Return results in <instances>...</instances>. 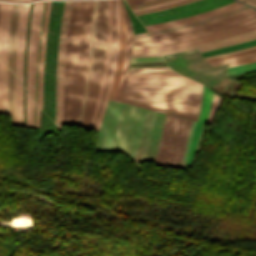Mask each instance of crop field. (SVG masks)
I'll use <instances>...</instances> for the list:
<instances>
[{
    "label": "crop field",
    "instance_id": "1",
    "mask_svg": "<svg viewBox=\"0 0 256 256\" xmlns=\"http://www.w3.org/2000/svg\"><path fill=\"white\" fill-rule=\"evenodd\" d=\"M165 114L109 100L95 149L122 151L134 162H155Z\"/></svg>",
    "mask_w": 256,
    "mask_h": 256
},
{
    "label": "crop field",
    "instance_id": "2",
    "mask_svg": "<svg viewBox=\"0 0 256 256\" xmlns=\"http://www.w3.org/2000/svg\"><path fill=\"white\" fill-rule=\"evenodd\" d=\"M201 94L202 86H126L123 102L196 121Z\"/></svg>",
    "mask_w": 256,
    "mask_h": 256
},
{
    "label": "crop field",
    "instance_id": "3",
    "mask_svg": "<svg viewBox=\"0 0 256 256\" xmlns=\"http://www.w3.org/2000/svg\"><path fill=\"white\" fill-rule=\"evenodd\" d=\"M93 0L78 1L72 45L71 75L85 77L88 61ZM71 76L66 125L76 126L83 94L84 78Z\"/></svg>",
    "mask_w": 256,
    "mask_h": 256
},
{
    "label": "crop field",
    "instance_id": "4",
    "mask_svg": "<svg viewBox=\"0 0 256 256\" xmlns=\"http://www.w3.org/2000/svg\"><path fill=\"white\" fill-rule=\"evenodd\" d=\"M108 0H98L95 28V44L90 77L101 78L107 39ZM101 79L90 78L81 127H89Z\"/></svg>",
    "mask_w": 256,
    "mask_h": 256
},
{
    "label": "crop field",
    "instance_id": "5",
    "mask_svg": "<svg viewBox=\"0 0 256 256\" xmlns=\"http://www.w3.org/2000/svg\"><path fill=\"white\" fill-rule=\"evenodd\" d=\"M235 0H198L178 7L138 15L144 26L198 14Z\"/></svg>",
    "mask_w": 256,
    "mask_h": 256
},
{
    "label": "crop field",
    "instance_id": "6",
    "mask_svg": "<svg viewBox=\"0 0 256 256\" xmlns=\"http://www.w3.org/2000/svg\"><path fill=\"white\" fill-rule=\"evenodd\" d=\"M71 1H65L62 15L59 44H58V58H57V75H56V116L55 123L61 130L62 109H63V71H64V57H65V38L68 26L69 11Z\"/></svg>",
    "mask_w": 256,
    "mask_h": 256
},
{
    "label": "crop field",
    "instance_id": "7",
    "mask_svg": "<svg viewBox=\"0 0 256 256\" xmlns=\"http://www.w3.org/2000/svg\"><path fill=\"white\" fill-rule=\"evenodd\" d=\"M43 1L34 2L31 24L30 37L28 43L27 69H26V89L34 98V80L36 69L37 43L39 35V24L41 18Z\"/></svg>",
    "mask_w": 256,
    "mask_h": 256
},
{
    "label": "crop field",
    "instance_id": "8",
    "mask_svg": "<svg viewBox=\"0 0 256 256\" xmlns=\"http://www.w3.org/2000/svg\"><path fill=\"white\" fill-rule=\"evenodd\" d=\"M254 29H256V20H254L250 23H247V24L232 27V28H229V29H226L223 31L213 33V34L196 37V38H191V39H186V40H182V41H178V42H174V43H170V44L159 45V46H157V48H158L159 52H162V51L179 48V47H183V46L199 44V43H204V42H208V41H212V40H216V39H221V38L229 37V36L236 35L239 33L251 31Z\"/></svg>",
    "mask_w": 256,
    "mask_h": 256
},
{
    "label": "crop field",
    "instance_id": "9",
    "mask_svg": "<svg viewBox=\"0 0 256 256\" xmlns=\"http://www.w3.org/2000/svg\"><path fill=\"white\" fill-rule=\"evenodd\" d=\"M29 6L30 4H20L19 15H18L16 54H15V74L19 77L21 82H22L26 25H27Z\"/></svg>",
    "mask_w": 256,
    "mask_h": 256
},
{
    "label": "crop field",
    "instance_id": "10",
    "mask_svg": "<svg viewBox=\"0 0 256 256\" xmlns=\"http://www.w3.org/2000/svg\"><path fill=\"white\" fill-rule=\"evenodd\" d=\"M254 13H256V10L248 8V9L241 11L237 14L231 15L229 17H226V18H223V19H220V20L208 23V24L185 28V29H181V30H177V31H172V32L152 36L151 38L153 41H156V40L167 39V38H171V37H175V36H179V35H183V34H187V33H191V32L205 30V29L213 28V27H216L219 25H223V24H226L229 22H233V21L242 19V18L250 16Z\"/></svg>",
    "mask_w": 256,
    "mask_h": 256
},
{
    "label": "crop field",
    "instance_id": "11",
    "mask_svg": "<svg viewBox=\"0 0 256 256\" xmlns=\"http://www.w3.org/2000/svg\"><path fill=\"white\" fill-rule=\"evenodd\" d=\"M76 8H77V1H72L69 26H68L67 45H66L65 72H64V110H63L62 124H65V121H66L67 99H68L69 80H70L71 43H72L73 28H74V22H75V16H76Z\"/></svg>",
    "mask_w": 256,
    "mask_h": 256
},
{
    "label": "crop field",
    "instance_id": "12",
    "mask_svg": "<svg viewBox=\"0 0 256 256\" xmlns=\"http://www.w3.org/2000/svg\"><path fill=\"white\" fill-rule=\"evenodd\" d=\"M212 95H213V92H211L206 87H204L202 108H201L199 120H198V122H196V125H195V130H194V133H193L191 146H190V150H189V154H188L187 163H186L185 168H187V167L191 168L192 167V163H193V159H194V155H195L199 135H200V132H201L202 124H203V122L206 123V121H207Z\"/></svg>",
    "mask_w": 256,
    "mask_h": 256
},
{
    "label": "crop field",
    "instance_id": "13",
    "mask_svg": "<svg viewBox=\"0 0 256 256\" xmlns=\"http://www.w3.org/2000/svg\"><path fill=\"white\" fill-rule=\"evenodd\" d=\"M192 122L191 120L179 118L168 166L178 167Z\"/></svg>",
    "mask_w": 256,
    "mask_h": 256
},
{
    "label": "crop field",
    "instance_id": "14",
    "mask_svg": "<svg viewBox=\"0 0 256 256\" xmlns=\"http://www.w3.org/2000/svg\"><path fill=\"white\" fill-rule=\"evenodd\" d=\"M126 85H201L182 75L128 78Z\"/></svg>",
    "mask_w": 256,
    "mask_h": 256
},
{
    "label": "crop field",
    "instance_id": "15",
    "mask_svg": "<svg viewBox=\"0 0 256 256\" xmlns=\"http://www.w3.org/2000/svg\"><path fill=\"white\" fill-rule=\"evenodd\" d=\"M255 38H256V30L247 32V33H243L240 35H236L233 37L209 42V43H204V44H200V45H196V46H192V47L180 48V49L163 52V53H161V55L184 51V50H189V49H194V48H197L200 52H203V51H207V50H211V49H215V48H219V47H224V46L248 41V40L255 39Z\"/></svg>",
    "mask_w": 256,
    "mask_h": 256
},
{
    "label": "crop field",
    "instance_id": "16",
    "mask_svg": "<svg viewBox=\"0 0 256 256\" xmlns=\"http://www.w3.org/2000/svg\"><path fill=\"white\" fill-rule=\"evenodd\" d=\"M177 120H178L177 117H173L169 115L167 116L156 164L164 165V166H166L167 164Z\"/></svg>",
    "mask_w": 256,
    "mask_h": 256
},
{
    "label": "crop field",
    "instance_id": "17",
    "mask_svg": "<svg viewBox=\"0 0 256 256\" xmlns=\"http://www.w3.org/2000/svg\"><path fill=\"white\" fill-rule=\"evenodd\" d=\"M11 8L12 3H0V56L6 64Z\"/></svg>",
    "mask_w": 256,
    "mask_h": 256
},
{
    "label": "crop field",
    "instance_id": "18",
    "mask_svg": "<svg viewBox=\"0 0 256 256\" xmlns=\"http://www.w3.org/2000/svg\"><path fill=\"white\" fill-rule=\"evenodd\" d=\"M122 6H123V11L125 15V20H126V31H127V38H126V47H125V58H124V65H123V71H122V76L116 96V100L121 101L122 100V95L124 91V87L126 84V78H127V70L129 68V60L131 56V46H132V40H133V30L131 26L130 19L128 17V14L126 12V9L124 7L123 0H121Z\"/></svg>",
    "mask_w": 256,
    "mask_h": 256
},
{
    "label": "crop field",
    "instance_id": "19",
    "mask_svg": "<svg viewBox=\"0 0 256 256\" xmlns=\"http://www.w3.org/2000/svg\"><path fill=\"white\" fill-rule=\"evenodd\" d=\"M241 5H243V4L235 1L231 4L226 5V6H223V7L211 10V11H207V12H204V13H201V14H198V15H194V16H191V17L183 18V19L173 20V21H169V22H164V23H160V24H156V25H151V26H147L145 28H146L147 31H150V30H154V29L179 25V24L195 21V20H198V19H202V18H205V17H209V16H212V15H216V14H219L223 11H226V10H229V9L241 6Z\"/></svg>",
    "mask_w": 256,
    "mask_h": 256
},
{
    "label": "crop field",
    "instance_id": "20",
    "mask_svg": "<svg viewBox=\"0 0 256 256\" xmlns=\"http://www.w3.org/2000/svg\"><path fill=\"white\" fill-rule=\"evenodd\" d=\"M119 6H120L121 36H120V48H119L117 65H116L115 77H114V82H113V86H112V90H111V94H110V98H109L112 100L115 99L117 87H118L120 76H121L123 57H124L125 38H126L125 21H124V16H123L120 0H119Z\"/></svg>",
    "mask_w": 256,
    "mask_h": 256
},
{
    "label": "crop field",
    "instance_id": "21",
    "mask_svg": "<svg viewBox=\"0 0 256 256\" xmlns=\"http://www.w3.org/2000/svg\"><path fill=\"white\" fill-rule=\"evenodd\" d=\"M114 48H115V0H112V42H111V50H110V58H109V66H108V73H107V79H106V83H105V87L103 90V94H102V98L100 101V105H99V109L93 124V130L95 128V124L97 122V119L99 117V114L101 112V107H102V103L104 101L105 98V94L107 91V87H108V83H109V77H110V71H111V65H112V61H113V56H114Z\"/></svg>",
    "mask_w": 256,
    "mask_h": 256
},
{
    "label": "crop field",
    "instance_id": "22",
    "mask_svg": "<svg viewBox=\"0 0 256 256\" xmlns=\"http://www.w3.org/2000/svg\"><path fill=\"white\" fill-rule=\"evenodd\" d=\"M19 4H13L10 35H9V53H8V67L14 72V47H15V29L18 15Z\"/></svg>",
    "mask_w": 256,
    "mask_h": 256
},
{
    "label": "crop field",
    "instance_id": "23",
    "mask_svg": "<svg viewBox=\"0 0 256 256\" xmlns=\"http://www.w3.org/2000/svg\"><path fill=\"white\" fill-rule=\"evenodd\" d=\"M110 42H111V0H109V8H108V40H107V48H106L105 66H104V72H103V76H102V80H101V84H100L99 94H98V98H97L93 118H92V121H91V124H90V129L92 128V124H93V121H94V118H95V115H96V112H97V109H98L101 93H102L104 83H105V79H106L108 58H109V50H110Z\"/></svg>",
    "mask_w": 256,
    "mask_h": 256
},
{
    "label": "crop field",
    "instance_id": "24",
    "mask_svg": "<svg viewBox=\"0 0 256 256\" xmlns=\"http://www.w3.org/2000/svg\"><path fill=\"white\" fill-rule=\"evenodd\" d=\"M119 35H120L119 6H118V0H116V48H115V56H114V61H113V66H112V71H111V77H110V83H109L108 91H107V94H106V98H105V101H104L102 112H101L100 117L98 119V122L96 124V128H95L96 131L99 128V122H100V119H101L102 114L104 112L106 103L108 101V97H109V93H110V89H111V85H112V81H113L114 70H115V65H116V60H117V55H118V48H119Z\"/></svg>",
    "mask_w": 256,
    "mask_h": 256
},
{
    "label": "crop field",
    "instance_id": "25",
    "mask_svg": "<svg viewBox=\"0 0 256 256\" xmlns=\"http://www.w3.org/2000/svg\"><path fill=\"white\" fill-rule=\"evenodd\" d=\"M96 4H97V0H94V10H93V16H92V25H91L89 62H88L87 71H86V81H85V88H84V94H83V100H82L81 114H80L79 122L77 125L78 127H80V123H81V117H82V112H83L86 93H87L88 78H89V73H90L91 63H92L94 27H95V19H96Z\"/></svg>",
    "mask_w": 256,
    "mask_h": 256
},
{
    "label": "crop field",
    "instance_id": "26",
    "mask_svg": "<svg viewBox=\"0 0 256 256\" xmlns=\"http://www.w3.org/2000/svg\"><path fill=\"white\" fill-rule=\"evenodd\" d=\"M0 113L7 114V67L0 59Z\"/></svg>",
    "mask_w": 256,
    "mask_h": 256
},
{
    "label": "crop field",
    "instance_id": "27",
    "mask_svg": "<svg viewBox=\"0 0 256 256\" xmlns=\"http://www.w3.org/2000/svg\"><path fill=\"white\" fill-rule=\"evenodd\" d=\"M254 19H256V14H254V15L248 17V18H245V19H242V20L230 23V24H226V25H223V26H220V27H216V28H213V29H210V30H206V31H202V32H196V33H192V34H188V35H184V36H180V37H176V38L156 42L155 45L169 43V42H173V41H177V40H181V39H185V38H189V37H193V36H197V35H205L207 33L213 32V31H217V30L229 28V27H232V26H235V25H239V24H242V23L250 22Z\"/></svg>",
    "mask_w": 256,
    "mask_h": 256
},
{
    "label": "crop field",
    "instance_id": "28",
    "mask_svg": "<svg viewBox=\"0 0 256 256\" xmlns=\"http://www.w3.org/2000/svg\"><path fill=\"white\" fill-rule=\"evenodd\" d=\"M15 126L23 127L22 85L15 77Z\"/></svg>",
    "mask_w": 256,
    "mask_h": 256
},
{
    "label": "crop field",
    "instance_id": "29",
    "mask_svg": "<svg viewBox=\"0 0 256 256\" xmlns=\"http://www.w3.org/2000/svg\"><path fill=\"white\" fill-rule=\"evenodd\" d=\"M9 92H8V114L10 125H14V74L8 69Z\"/></svg>",
    "mask_w": 256,
    "mask_h": 256
},
{
    "label": "crop field",
    "instance_id": "30",
    "mask_svg": "<svg viewBox=\"0 0 256 256\" xmlns=\"http://www.w3.org/2000/svg\"><path fill=\"white\" fill-rule=\"evenodd\" d=\"M253 45H256V39L252 40V41L244 42L241 44L221 48V49L203 52L202 54L204 55V57H207V56L220 54V53H224V52H228V51H232V50H237V49H241V48H245V47H249V46H253Z\"/></svg>",
    "mask_w": 256,
    "mask_h": 256
},
{
    "label": "crop field",
    "instance_id": "31",
    "mask_svg": "<svg viewBox=\"0 0 256 256\" xmlns=\"http://www.w3.org/2000/svg\"><path fill=\"white\" fill-rule=\"evenodd\" d=\"M256 70V62L229 67L228 74H236Z\"/></svg>",
    "mask_w": 256,
    "mask_h": 256
},
{
    "label": "crop field",
    "instance_id": "32",
    "mask_svg": "<svg viewBox=\"0 0 256 256\" xmlns=\"http://www.w3.org/2000/svg\"><path fill=\"white\" fill-rule=\"evenodd\" d=\"M26 100H27V128H33L34 101L30 98L27 92H26Z\"/></svg>",
    "mask_w": 256,
    "mask_h": 256
},
{
    "label": "crop field",
    "instance_id": "33",
    "mask_svg": "<svg viewBox=\"0 0 256 256\" xmlns=\"http://www.w3.org/2000/svg\"><path fill=\"white\" fill-rule=\"evenodd\" d=\"M194 124H195V122H193V124L191 126V129H190V132L188 134L187 142H186L184 152H183V155H182V158H181V162H180V165H179V167H182V168H184V166H185V162H186V158H187V154H188V149H189V144H190V140H191V137H192Z\"/></svg>",
    "mask_w": 256,
    "mask_h": 256
},
{
    "label": "crop field",
    "instance_id": "34",
    "mask_svg": "<svg viewBox=\"0 0 256 256\" xmlns=\"http://www.w3.org/2000/svg\"><path fill=\"white\" fill-rule=\"evenodd\" d=\"M47 4H48V1H47ZM46 16H47V5H46V11H45V15H44L43 28H42L41 55H40L39 70H38V105H39V101H40V68H41L42 45H43V38H44V25H45V21H46Z\"/></svg>",
    "mask_w": 256,
    "mask_h": 256
},
{
    "label": "crop field",
    "instance_id": "35",
    "mask_svg": "<svg viewBox=\"0 0 256 256\" xmlns=\"http://www.w3.org/2000/svg\"><path fill=\"white\" fill-rule=\"evenodd\" d=\"M220 99H221L220 97H218L214 94L210 113H209V118H208V122H207L208 124H212V122H213V118H214L215 112L217 110V107L220 103Z\"/></svg>",
    "mask_w": 256,
    "mask_h": 256
},
{
    "label": "crop field",
    "instance_id": "36",
    "mask_svg": "<svg viewBox=\"0 0 256 256\" xmlns=\"http://www.w3.org/2000/svg\"><path fill=\"white\" fill-rule=\"evenodd\" d=\"M178 74L173 71L166 72H152V73H129L128 77H137V76H157V75H174Z\"/></svg>",
    "mask_w": 256,
    "mask_h": 256
},
{
    "label": "crop field",
    "instance_id": "37",
    "mask_svg": "<svg viewBox=\"0 0 256 256\" xmlns=\"http://www.w3.org/2000/svg\"><path fill=\"white\" fill-rule=\"evenodd\" d=\"M170 70L168 67H141V68H130L129 72H148V71H163Z\"/></svg>",
    "mask_w": 256,
    "mask_h": 256
},
{
    "label": "crop field",
    "instance_id": "38",
    "mask_svg": "<svg viewBox=\"0 0 256 256\" xmlns=\"http://www.w3.org/2000/svg\"><path fill=\"white\" fill-rule=\"evenodd\" d=\"M254 56H256V53L249 54V55H244V56H239V57H235V58H230V59H226V60L216 61V62H212L211 64L213 66H216V65H220V64L240 60V59L250 58V57H254Z\"/></svg>",
    "mask_w": 256,
    "mask_h": 256
},
{
    "label": "crop field",
    "instance_id": "39",
    "mask_svg": "<svg viewBox=\"0 0 256 256\" xmlns=\"http://www.w3.org/2000/svg\"><path fill=\"white\" fill-rule=\"evenodd\" d=\"M45 5H46V1H44V6H43L41 25H40V36H41V27H42L43 15L45 11ZM40 36H39V44H38L37 69H38V60H39V52H40ZM35 101L37 103V70H36V81H35Z\"/></svg>",
    "mask_w": 256,
    "mask_h": 256
},
{
    "label": "crop field",
    "instance_id": "40",
    "mask_svg": "<svg viewBox=\"0 0 256 256\" xmlns=\"http://www.w3.org/2000/svg\"><path fill=\"white\" fill-rule=\"evenodd\" d=\"M50 5H51V1H49V5H48V16H47V22H46V26H45V39H44V46H43L42 71H41V101H40V108H42V73H43V61H44V53H45L46 31H47V24H48Z\"/></svg>",
    "mask_w": 256,
    "mask_h": 256
},
{
    "label": "crop field",
    "instance_id": "41",
    "mask_svg": "<svg viewBox=\"0 0 256 256\" xmlns=\"http://www.w3.org/2000/svg\"><path fill=\"white\" fill-rule=\"evenodd\" d=\"M163 61L162 57H138L132 58V62H156Z\"/></svg>",
    "mask_w": 256,
    "mask_h": 256
},
{
    "label": "crop field",
    "instance_id": "42",
    "mask_svg": "<svg viewBox=\"0 0 256 256\" xmlns=\"http://www.w3.org/2000/svg\"><path fill=\"white\" fill-rule=\"evenodd\" d=\"M191 1H195V0H187V1L179 2V3H175V4L163 6V7L154 8V9H150V10L135 13V15L143 14V13H147V12H152V11H157V10H161V9H165V8H169V7H173V6H177V5H181V4H184V3H188V2H191Z\"/></svg>",
    "mask_w": 256,
    "mask_h": 256
},
{
    "label": "crop field",
    "instance_id": "43",
    "mask_svg": "<svg viewBox=\"0 0 256 256\" xmlns=\"http://www.w3.org/2000/svg\"><path fill=\"white\" fill-rule=\"evenodd\" d=\"M149 52H157L155 46L144 47V48H133V50H132V54L149 53Z\"/></svg>",
    "mask_w": 256,
    "mask_h": 256
},
{
    "label": "crop field",
    "instance_id": "44",
    "mask_svg": "<svg viewBox=\"0 0 256 256\" xmlns=\"http://www.w3.org/2000/svg\"><path fill=\"white\" fill-rule=\"evenodd\" d=\"M253 52H256V49L249 50V51H244V52H239V53H235V54H231V55H227V56H223V57H219V58L209 59L208 61L212 62V61H216V60L226 59V58L235 57V56L244 55V54H249V53H253Z\"/></svg>",
    "mask_w": 256,
    "mask_h": 256
},
{
    "label": "crop field",
    "instance_id": "45",
    "mask_svg": "<svg viewBox=\"0 0 256 256\" xmlns=\"http://www.w3.org/2000/svg\"><path fill=\"white\" fill-rule=\"evenodd\" d=\"M164 1H168V0H156V1L141 3V4H137V5H132V6H129V7L131 9H135V8L145 7V6L153 5V4L164 2Z\"/></svg>",
    "mask_w": 256,
    "mask_h": 256
},
{
    "label": "crop field",
    "instance_id": "46",
    "mask_svg": "<svg viewBox=\"0 0 256 256\" xmlns=\"http://www.w3.org/2000/svg\"><path fill=\"white\" fill-rule=\"evenodd\" d=\"M178 1H182V0H173V1L165 2V3H161V4H157V5H153V6H149V7H145V8L135 9V10H133V12H137V11H141V10H145V9H150V8H154V7H158V6L178 2Z\"/></svg>",
    "mask_w": 256,
    "mask_h": 256
},
{
    "label": "crop field",
    "instance_id": "47",
    "mask_svg": "<svg viewBox=\"0 0 256 256\" xmlns=\"http://www.w3.org/2000/svg\"><path fill=\"white\" fill-rule=\"evenodd\" d=\"M253 61H256V58H250V59H245V60H240V61L232 62V63H230L229 66L237 65V64H243V63H248V62H253Z\"/></svg>",
    "mask_w": 256,
    "mask_h": 256
},
{
    "label": "crop field",
    "instance_id": "48",
    "mask_svg": "<svg viewBox=\"0 0 256 256\" xmlns=\"http://www.w3.org/2000/svg\"><path fill=\"white\" fill-rule=\"evenodd\" d=\"M197 51H198L197 49H194V50H189V51L174 53V54H170V55L163 56V58L171 57V56H176V55H181V54H186V53L197 52Z\"/></svg>",
    "mask_w": 256,
    "mask_h": 256
},
{
    "label": "crop field",
    "instance_id": "49",
    "mask_svg": "<svg viewBox=\"0 0 256 256\" xmlns=\"http://www.w3.org/2000/svg\"><path fill=\"white\" fill-rule=\"evenodd\" d=\"M145 42H152V41L150 37H147V38L136 39L133 41V44L145 43Z\"/></svg>",
    "mask_w": 256,
    "mask_h": 256
},
{
    "label": "crop field",
    "instance_id": "50",
    "mask_svg": "<svg viewBox=\"0 0 256 256\" xmlns=\"http://www.w3.org/2000/svg\"><path fill=\"white\" fill-rule=\"evenodd\" d=\"M128 5L131 4H136V3H141V2H146V1H151V0H126Z\"/></svg>",
    "mask_w": 256,
    "mask_h": 256
},
{
    "label": "crop field",
    "instance_id": "51",
    "mask_svg": "<svg viewBox=\"0 0 256 256\" xmlns=\"http://www.w3.org/2000/svg\"><path fill=\"white\" fill-rule=\"evenodd\" d=\"M253 48H256V46L250 47V48H246V49L237 50V51L230 52V53H235V52H239V51L249 50V49H253ZM230 53H226V54H230ZM226 54H221V55H217V56H222V55H226ZM217 56L207 57L206 59L217 57Z\"/></svg>",
    "mask_w": 256,
    "mask_h": 256
},
{
    "label": "crop field",
    "instance_id": "52",
    "mask_svg": "<svg viewBox=\"0 0 256 256\" xmlns=\"http://www.w3.org/2000/svg\"><path fill=\"white\" fill-rule=\"evenodd\" d=\"M137 56H160V54L159 53H149V54L132 55V57H137Z\"/></svg>",
    "mask_w": 256,
    "mask_h": 256
},
{
    "label": "crop field",
    "instance_id": "53",
    "mask_svg": "<svg viewBox=\"0 0 256 256\" xmlns=\"http://www.w3.org/2000/svg\"><path fill=\"white\" fill-rule=\"evenodd\" d=\"M241 1L256 7V0H241Z\"/></svg>",
    "mask_w": 256,
    "mask_h": 256
},
{
    "label": "crop field",
    "instance_id": "54",
    "mask_svg": "<svg viewBox=\"0 0 256 256\" xmlns=\"http://www.w3.org/2000/svg\"><path fill=\"white\" fill-rule=\"evenodd\" d=\"M0 1L33 2V1H37V0H0Z\"/></svg>",
    "mask_w": 256,
    "mask_h": 256
},
{
    "label": "crop field",
    "instance_id": "55",
    "mask_svg": "<svg viewBox=\"0 0 256 256\" xmlns=\"http://www.w3.org/2000/svg\"><path fill=\"white\" fill-rule=\"evenodd\" d=\"M153 45V43H149V44H138V45H134L133 47H143V46H151Z\"/></svg>",
    "mask_w": 256,
    "mask_h": 256
},
{
    "label": "crop field",
    "instance_id": "56",
    "mask_svg": "<svg viewBox=\"0 0 256 256\" xmlns=\"http://www.w3.org/2000/svg\"><path fill=\"white\" fill-rule=\"evenodd\" d=\"M36 121H37V105L35 103V124H34V128H36Z\"/></svg>",
    "mask_w": 256,
    "mask_h": 256
},
{
    "label": "crop field",
    "instance_id": "57",
    "mask_svg": "<svg viewBox=\"0 0 256 256\" xmlns=\"http://www.w3.org/2000/svg\"><path fill=\"white\" fill-rule=\"evenodd\" d=\"M39 111H40V108L38 107V121H39ZM37 128H38V122H37Z\"/></svg>",
    "mask_w": 256,
    "mask_h": 256
}]
</instances>
